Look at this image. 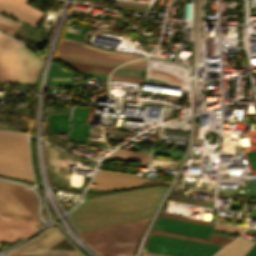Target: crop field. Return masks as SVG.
<instances>
[{"mask_svg": "<svg viewBox=\"0 0 256 256\" xmlns=\"http://www.w3.org/2000/svg\"><path fill=\"white\" fill-rule=\"evenodd\" d=\"M166 189L153 187L87 199L70 217L79 232L149 218Z\"/></svg>", "mask_w": 256, "mask_h": 256, "instance_id": "crop-field-1", "label": "crop field"}, {"mask_svg": "<svg viewBox=\"0 0 256 256\" xmlns=\"http://www.w3.org/2000/svg\"><path fill=\"white\" fill-rule=\"evenodd\" d=\"M149 219L82 232L100 256H133Z\"/></svg>", "mask_w": 256, "mask_h": 256, "instance_id": "crop-field-2", "label": "crop field"}, {"mask_svg": "<svg viewBox=\"0 0 256 256\" xmlns=\"http://www.w3.org/2000/svg\"><path fill=\"white\" fill-rule=\"evenodd\" d=\"M2 183L33 215L0 213V219L39 222L37 219V197L35 193L31 190H25L20 185L7 182ZM5 220H0V242L11 243L19 237L25 238L39 229L34 225L35 223L33 222ZM37 224L40 225L41 223Z\"/></svg>", "mask_w": 256, "mask_h": 256, "instance_id": "crop-field-3", "label": "crop field"}, {"mask_svg": "<svg viewBox=\"0 0 256 256\" xmlns=\"http://www.w3.org/2000/svg\"><path fill=\"white\" fill-rule=\"evenodd\" d=\"M0 174L33 181L27 136L0 132Z\"/></svg>", "mask_w": 256, "mask_h": 256, "instance_id": "crop-field-4", "label": "crop field"}, {"mask_svg": "<svg viewBox=\"0 0 256 256\" xmlns=\"http://www.w3.org/2000/svg\"><path fill=\"white\" fill-rule=\"evenodd\" d=\"M221 247L222 245L151 233L145 251L169 256H212Z\"/></svg>", "mask_w": 256, "mask_h": 256, "instance_id": "crop-field-5", "label": "crop field"}, {"mask_svg": "<svg viewBox=\"0 0 256 256\" xmlns=\"http://www.w3.org/2000/svg\"><path fill=\"white\" fill-rule=\"evenodd\" d=\"M214 226L159 216L153 229L208 239Z\"/></svg>", "mask_w": 256, "mask_h": 256, "instance_id": "crop-field-6", "label": "crop field"}, {"mask_svg": "<svg viewBox=\"0 0 256 256\" xmlns=\"http://www.w3.org/2000/svg\"><path fill=\"white\" fill-rule=\"evenodd\" d=\"M15 53L18 82L34 83L42 60L25 47H16Z\"/></svg>", "mask_w": 256, "mask_h": 256, "instance_id": "crop-field-7", "label": "crop field"}, {"mask_svg": "<svg viewBox=\"0 0 256 256\" xmlns=\"http://www.w3.org/2000/svg\"><path fill=\"white\" fill-rule=\"evenodd\" d=\"M0 212L31 214L1 182Z\"/></svg>", "mask_w": 256, "mask_h": 256, "instance_id": "crop-field-8", "label": "crop field"}, {"mask_svg": "<svg viewBox=\"0 0 256 256\" xmlns=\"http://www.w3.org/2000/svg\"><path fill=\"white\" fill-rule=\"evenodd\" d=\"M93 182L98 183L99 186H105V187H111V188H117V189L137 186L145 183H154V182L120 178V177L100 175V174H96Z\"/></svg>", "mask_w": 256, "mask_h": 256, "instance_id": "crop-field-9", "label": "crop field"}, {"mask_svg": "<svg viewBox=\"0 0 256 256\" xmlns=\"http://www.w3.org/2000/svg\"><path fill=\"white\" fill-rule=\"evenodd\" d=\"M56 53L63 54V55L76 56L81 58H87L92 60H98V61L114 62V63H124L126 61L132 60V58H123V57L94 54V53L74 50L70 48H65L61 46L58 47V50Z\"/></svg>", "mask_w": 256, "mask_h": 256, "instance_id": "crop-field-10", "label": "crop field"}, {"mask_svg": "<svg viewBox=\"0 0 256 256\" xmlns=\"http://www.w3.org/2000/svg\"><path fill=\"white\" fill-rule=\"evenodd\" d=\"M254 241L239 237L217 253L219 256H245Z\"/></svg>", "mask_w": 256, "mask_h": 256, "instance_id": "crop-field-11", "label": "crop field"}, {"mask_svg": "<svg viewBox=\"0 0 256 256\" xmlns=\"http://www.w3.org/2000/svg\"><path fill=\"white\" fill-rule=\"evenodd\" d=\"M60 45L65 46V47L74 48V49L94 52V53L106 54V55L139 58V56H137V55L104 51V50H101V49H98V48L90 47V46L84 45L82 43L75 42V41L68 40V39H64V38H63Z\"/></svg>", "mask_w": 256, "mask_h": 256, "instance_id": "crop-field-12", "label": "crop field"}, {"mask_svg": "<svg viewBox=\"0 0 256 256\" xmlns=\"http://www.w3.org/2000/svg\"><path fill=\"white\" fill-rule=\"evenodd\" d=\"M149 154H144L135 151L118 149L112 156L108 159L110 160H121V161H139L140 163L146 165Z\"/></svg>", "mask_w": 256, "mask_h": 256, "instance_id": "crop-field-13", "label": "crop field"}, {"mask_svg": "<svg viewBox=\"0 0 256 256\" xmlns=\"http://www.w3.org/2000/svg\"><path fill=\"white\" fill-rule=\"evenodd\" d=\"M0 12L36 26L40 18L0 2Z\"/></svg>", "mask_w": 256, "mask_h": 256, "instance_id": "crop-field-14", "label": "crop field"}, {"mask_svg": "<svg viewBox=\"0 0 256 256\" xmlns=\"http://www.w3.org/2000/svg\"><path fill=\"white\" fill-rule=\"evenodd\" d=\"M57 65L51 63L48 83L71 84V73L68 71L56 70Z\"/></svg>", "mask_w": 256, "mask_h": 256, "instance_id": "crop-field-15", "label": "crop field"}, {"mask_svg": "<svg viewBox=\"0 0 256 256\" xmlns=\"http://www.w3.org/2000/svg\"><path fill=\"white\" fill-rule=\"evenodd\" d=\"M68 67L72 69H79V70H90V71H98V72H106L109 73L114 67H107V66H97V65H88V64H80V63H73L67 61H61Z\"/></svg>", "mask_w": 256, "mask_h": 256, "instance_id": "crop-field-16", "label": "crop field"}, {"mask_svg": "<svg viewBox=\"0 0 256 256\" xmlns=\"http://www.w3.org/2000/svg\"><path fill=\"white\" fill-rule=\"evenodd\" d=\"M151 232L159 233V234H165V235H170V236H176V237H182V238H188V239H193V240L205 241V242H210V243L222 244V245H226L230 241L233 240L232 238H226V237H220V236H214V235H211L209 240H205V239H199V238L182 236V235L171 234V233L160 232V231H154V230H152Z\"/></svg>", "mask_w": 256, "mask_h": 256, "instance_id": "crop-field-17", "label": "crop field"}, {"mask_svg": "<svg viewBox=\"0 0 256 256\" xmlns=\"http://www.w3.org/2000/svg\"><path fill=\"white\" fill-rule=\"evenodd\" d=\"M0 1H2L4 3H7V4L11 5V6H14L16 8H19V9H21L23 11L28 12V13H31V14H33L35 16L40 17V18H42V16H43L42 12H40V11L30 7L29 5H27L26 4L27 0H0Z\"/></svg>", "mask_w": 256, "mask_h": 256, "instance_id": "crop-field-18", "label": "crop field"}, {"mask_svg": "<svg viewBox=\"0 0 256 256\" xmlns=\"http://www.w3.org/2000/svg\"><path fill=\"white\" fill-rule=\"evenodd\" d=\"M54 58L61 59V60H67V61L80 62V63L107 65V66H114V67H117L118 65H120V64H114V63L92 61V60L81 59V58L70 57V56H63V55H58V54H55Z\"/></svg>", "mask_w": 256, "mask_h": 256, "instance_id": "crop-field-19", "label": "crop field"}, {"mask_svg": "<svg viewBox=\"0 0 256 256\" xmlns=\"http://www.w3.org/2000/svg\"><path fill=\"white\" fill-rule=\"evenodd\" d=\"M215 229L240 234L245 228L217 223Z\"/></svg>", "mask_w": 256, "mask_h": 256, "instance_id": "crop-field-20", "label": "crop field"}, {"mask_svg": "<svg viewBox=\"0 0 256 256\" xmlns=\"http://www.w3.org/2000/svg\"><path fill=\"white\" fill-rule=\"evenodd\" d=\"M17 45H20V44L13 41L11 38L5 36L4 34L0 33V50L11 48Z\"/></svg>", "mask_w": 256, "mask_h": 256, "instance_id": "crop-field-21", "label": "crop field"}, {"mask_svg": "<svg viewBox=\"0 0 256 256\" xmlns=\"http://www.w3.org/2000/svg\"><path fill=\"white\" fill-rule=\"evenodd\" d=\"M98 173H100V174H107V175H114V176H121V177H128V178H136V179L150 180V181H157V182L168 183V184L170 183V182H167V181H160V180L139 178V177H135V176H133V175H127V174H121V173H115V172H109V171H103V170H99Z\"/></svg>", "mask_w": 256, "mask_h": 256, "instance_id": "crop-field-22", "label": "crop field"}, {"mask_svg": "<svg viewBox=\"0 0 256 256\" xmlns=\"http://www.w3.org/2000/svg\"><path fill=\"white\" fill-rule=\"evenodd\" d=\"M110 79L136 82V83H141V80H142V78H134V77L121 76V75H114V74L110 75Z\"/></svg>", "mask_w": 256, "mask_h": 256, "instance_id": "crop-field-23", "label": "crop field"}, {"mask_svg": "<svg viewBox=\"0 0 256 256\" xmlns=\"http://www.w3.org/2000/svg\"><path fill=\"white\" fill-rule=\"evenodd\" d=\"M160 215H161V216H167V217L178 218V219L189 220V221L201 222V223H206V224H212V225L215 224V223H213V222L202 221V220H197V219H192V218H186V217H181V216H176V215H170V214H165V213H161Z\"/></svg>", "mask_w": 256, "mask_h": 256, "instance_id": "crop-field-24", "label": "crop field"}, {"mask_svg": "<svg viewBox=\"0 0 256 256\" xmlns=\"http://www.w3.org/2000/svg\"><path fill=\"white\" fill-rule=\"evenodd\" d=\"M115 5L147 8V4L116 1Z\"/></svg>", "mask_w": 256, "mask_h": 256, "instance_id": "crop-field-25", "label": "crop field"}, {"mask_svg": "<svg viewBox=\"0 0 256 256\" xmlns=\"http://www.w3.org/2000/svg\"><path fill=\"white\" fill-rule=\"evenodd\" d=\"M0 23H3L5 25H8V26L13 27L15 29H17V27L19 26V23L14 22L12 20H9V19H7L5 17H2V16H0Z\"/></svg>", "mask_w": 256, "mask_h": 256, "instance_id": "crop-field-26", "label": "crop field"}, {"mask_svg": "<svg viewBox=\"0 0 256 256\" xmlns=\"http://www.w3.org/2000/svg\"><path fill=\"white\" fill-rule=\"evenodd\" d=\"M0 30L4 31L10 35L15 31V29L5 26L3 24H0Z\"/></svg>", "mask_w": 256, "mask_h": 256, "instance_id": "crop-field-27", "label": "crop field"}, {"mask_svg": "<svg viewBox=\"0 0 256 256\" xmlns=\"http://www.w3.org/2000/svg\"><path fill=\"white\" fill-rule=\"evenodd\" d=\"M8 256H55V255H37V254H18V253H9Z\"/></svg>", "mask_w": 256, "mask_h": 256, "instance_id": "crop-field-28", "label": "crop field"}, {"mask_svg": "<svg viewBox=\"0 0 256 256\" xmlns=\"http://www.w3.org/2000/svg\"><path fill=\"white\" fill-rule=\"evenodd\" d=\"M145 62H146V60L140 59V60H137V61H134V62H130V63H127V64L144 66V65H145Z\"/></svg>", "mask_w": 256, "mask_h": 256, "instance_id": "crop-field-29", "label": "crop field"}, {"mask_svg": "<svg viewBox=\"0 0 256 256\" xmlns=\"http://www.w3.org/2000/svg\"><path fill=\"white\" fill-rule=\"evenodd\" d=\"M246 256H256V243L254 246L250 249L249 253Z\"/></svg>", "mask_w": 256, "mask_h": 256, "instance_id": "crop-field-30", "label": "crop field"}, {"mask_svg": "<svg viewBox=\"0 0 256 256\" xmlns=\"http://www.w3.org/2000/svg\"><path fill=\"white\" fill-rule=\"evenodd\" d=\"M123 68H131V69H139V70H143L144 67H140V66H131V65H123L121 66Z\"/></svg>", "mask_w": 256, "mask_h": 256, "instance_id": "crop-field-31", "label": "crop field"}, {"mask_svg": "<svg viewBox=\"0 0 256 256\" xmlns=\"http://www.w3.org/2000/svg\"><path fill=\"white\" fill-rule=\"evenodd\" d=\"M144 256H164V255H158V254H153V253L145 252Z\"/></svg>", "mask_w": 256, "mask_h": 256, "instance_id": "crop-field-32", "label": "crop field"}, {"mask_svg": "<svg viewBox=\"0 0 256 256\" xmlns=\"http://www.w3.org/2000/svg\"><path fill=\"white\" fill-rule=\"evenodd\" d=\"M215 256H217V255H215Z\"/></svg>", "mask_w": 256, "mask_h": 256, "instance_id": "crop-field-33", "label": "crop field"}]
</instances>
